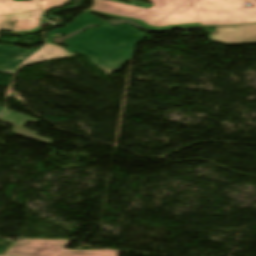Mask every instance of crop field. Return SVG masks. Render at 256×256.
Returning <instances> with one entry per match:
<instances>
[{
	"label": "crop field",
	"mask_w": 256,
	"mask_h": 256,
	"mask_svg": "<svg viewBox=\"0 0 256 256\" xmlns=\"http://www.w3.org/2000/svg\"><path fill=\"white\" fill-rule=\"evenodd\" d=\"M145 35L129 25L90 29L69 41V49L84 55L105 73H113L129 61L136 43ZM88 59V60H89Z\"/></svg>",
	"instance_id": "8a807250"
},
{
	"label": "crop field",
	"mask_w": 256,
	"mask_h": 256,
	"mask_svg": "<svg viewBox=\"0 0 256 256\" xmlns=\"http://www.w3.org/2000/svg\"><path fill=\"white\" fill-rule=\"evenodd\" d=\"M153 5L142 9L110 0H94L89 12L113 17L129 18L150 29L201 26V20L189 0H150Z\"/></svg>",
	"instance_id": "ac0d7876"
},
{
	"label": "crop field",
	"mask_w": 256,
	"mask_h": 256,
	"mask_svg": "<svg viewBox=\"0 0 256 256\" xmlns=\"http://www.w3.org/2000/svg\"><path fill=\"white\" fill-rule=\"evenodd\" d=\"M204 25L256 22V0H191ZM252 6L247 7L243 3Z\"/></svg>",
	"instance_id": "34b2d1b8"
},
{
	"label": "crop field",
	"mask_w": 256,
	"mask_h": 256,
	"mask_svg": "<svg viewBox=\"0 0 256 256\" xmlns=\"http://www.w3.org/2000/svg\"><path fill=\"white\" fill-rule=\"evenodd\" d=\"M66 240H19L13 242L4 255L8 256H118L113 250H69L63 249Z\"/></svg>",
	"instance_id": "412701ff"
},
{
	"label": "crop field",
	"mask_w": 256,
	"mask_h": 256,
	"mask_svg": "<svg viewBox=\"0 0 256 256\" xmlns=\"http://www.w3.org/2000/svg\"><path fill=\"white\" fill-rule=\"evenodd\" d=\"M39 21L38 0H0V30H35Z\"/></svg>",
	"instance_id": "f4fd0767"
},
{
	"label": "crop field",
	"mask_w": 256,
	"mask_h": 256,
	"mask_svg": "<svg viewBox=\"0 0 256 256\" xmlns=\"http://www.w3.org/2000/svg\"><path fill=\"white\" fill-rule=\"evenodd\" d=\"M210 38L213 42L226 45L254 44L256 43V24L216 27Z\"/></svg>",
	"instance_id": "dd49c442"
},
{
	"label": "crop field",
	"mask_w": 256,
	"mask_h": 256,
	"mask_svg": "<svg viewBox=\"0 0 256 256\" xmlns=\"http://www.w3.org/2000/svg\"><path fill=\"white\" fill-rule=\"evenodd\" d=\"M36 50H23L0 45V72L14 74L18 65Z\"/></svg>",
	"instance_id": "e52e79f7"
},
{
	"label": "crop field",
	"mask_w": 256,
	"mask_h": 256,
	"mask_svg": "<svg viewBox=\"0 0 256 256\" xmlns=\"http://www.w3.org/2000/svg\"><path fill=\"white\" fill-rule=\"evenodd\" d=\"M26 120H29L35 123L38 121L37 119L31 118L22 114H18L15 112L7 111V110H5L2 114H0V121L8 122L15 127L14 134L28 137L46 144H51L50 140L42 137H38L35 132L24 129L23 126Z\"/></svg>",
	"instance_id": "d8731c3e"
},
{
	"label": "crop field",
	"mask_w": 256,
	"mask_h": 256,
	"mask_svg": "<svg viewBox=\"0 0 256 256\" xmlns=\"http://www.w3.org/2000/svg\"><path fill=\"white\" fill-rule=\"evenodd\" d=\"M71 56H75V55L59 46H56L50 43L46 45V47L43 48L42 50L35 53L32 57H30L27 61H25L20 67L40 63L42 61L61 59V58H66Z\"/></svg>",
	"instance_id": "5a996713"
},
{
	"label": "crop field",
	"mask_w": 256,
	"mask_h": 256,
	"mask_svg": "<svg viewBox=\"0 0 256 256\" xmlns=\"http://www.w3.org/2000/svg\"><path fill=\"white\" fill-rule=\"evenodd\" d=\"M92 22H102V20L90 15L89 13L85 12L81 15H79L78 17H76L72 22H70L66 27L62 28V29H57V30H53L47 34L52 35V34H56L59 33L61 35L75 30L83 25H86L88 23H92Z\"/></svg>",
	"instance_id": "3316defc"
},
{
	"label": "crop field",
	"mask_w": 256,
	"mask_h": 256,
	"mask_svg": "<svg viewBox=\"0 0 256 256\" xmlns=\"http://www.w3.org/2000/svg\"><path fill=\"white\" fill-rule=\"evenodd\" d=\"M68 1L69 0H41L40 3H41L42 13L56 7H61L67 4Z\"/></svg>",
	"instance_id": "28ad6ade"
},
{
	"label": "crop field",
	"mask_w": 256,
	"mask_h": 256,
	"mask_svg": "<svg viewBox=\"0 0 256 256\" xmlns=\"http://www.w3.org/2000/svg\"><path fill=\"white\" fill-rule=\"evenodd\" d=\"M3 108H0V111L2 110Z\"/></svg>",
	"instance_id": "d1516ede"
}]
</instances>
